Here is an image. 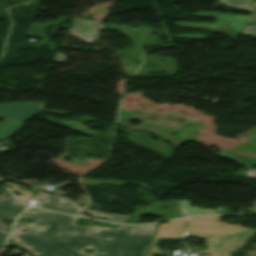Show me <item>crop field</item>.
Masks as SVG:
<instances>
[{
  "label": "crop field",
  "mask_w": 256,
  "mask_h": 256,
  "mask_svg": "<svg viewBox=\"0 0 256 256\" xmlns=\"http://www.w3.org/2000/svg\"><path fill=\"white\" fill-rule=\"evenodd\" d=\"M256 230L220 223L217 216L190 217L185 236H206L208 253L229 256Z\"/></svg>",
  "instance_id": "2"
},
{
  "label": "crop field",
  "mask_w": 256,
  "mask_h": 256,
  "mask_svg": "<svg viewBox=\"0 0 256 256\" xmlns=\"http://www.w3.org/2000/svg\"><path fill=\"white\" fill-rule=\"evenodd\" d=\"M253 203H254V212H256V201L253 200Z\"/></svg>",
  "instance_id": "25"
},
{
  "label": "crop field",
  "mask_w": 256,
  "mask_h": 256,
  "mask_svg": "<svg viewBox=\"0 0 256 256\" xmlns=\"http://www.w3.org/2000/svg\"><path fill=\"white\" fill-rule=\"evenodd\" d=\"M46 102H20L0 105V116L6 121L0 123V139L4 140L21 127V123L42 110Z\"/></svg>",
  "instance_id": "3"
},
{
  "label": "crop field",
  "mask_w": 256,
  "mask_h": 256,
  "mask_svg": "<svg viewBox=\"0 0 256 256\" xmlns=\"http://www.w3.org/2000/svg\"><path fill=\"white\" fill-rule=\"evenodd\" d=\"M42 256H72V255L62 254L54 249H50L49 251L44 253Z\"/></svg>",
  "instance_id": "22"
},
{
  "label": "crop field",
  "mask_w": 256,
  "mask_h": 256,
  "mask_svg": "<svg viewBox=\"0 0 256 256\" xmlns=\"http://www.w3.org/2000/svg\"><path fill=\"white\" fill-rule=\"evenodd\" d=\"M28 206L13 197L0 199V212L21 213Z\"/></svg>",
  "instance_id": "15"
},
{
  "label": "crop field",
  "mask_w": 256,
  "mask_h": 256,
  "mask_svg": "<svg viewBox=\"0 0 256 256\" xmlns=\"http://www.w3.org/2000/svg\"><path fill=\"white\" fill-rule=\"evenodd\" d=\"M65 57H66V55H63V54L58 52L54 60L64 62L65 61Z\"/></svg>",
  "instance_id": "24"
},
{
  "label": "crop field",
  "mask_w": 256,
  "mask_h": 256,
  "mask_svg": "<svg viewBox=\"0 0 256 256\" xmlns=\"http://www.w3.org/2000/svg\"><path fill=\"white\" fill-rule=\"evenodd\" d=\"M86 212H88L91 216L99 217V218H107L108 220L113 222L124 223L125 219L127 218V216L105 214V213H100V212H96L89 209H86Z\"/></svg>",
  "instance_id": "17"
},
{
  "label": "crop field",
  "mask_w": 256,
  "mask_h": 256,
  "mask_svg": "<svg viewBox=\"0 0 256 256\" xmlns=\"http://www.w3.org/2000/svg\"><path fill=\"white\" fill-rule=\"evenodd\" d=\"M224 5L234 7L238 10L247 11L251 10L254 1L247 0H218Z\"/></svg>",
  "instance_id": "16"
},
{
  "label": "crop field",
  "mask_w": 256,
  "mask_h": 256,
  "mask_svg": "<svg viewBox=\"0 0 256 256\" xmlns=\"http://www.w3.org/2000/svg\"><path fill=\"white\" fill-rule=\"evenodd\" d=\"M242 34L256 35V15L249 16Z\"/></svg>",
  "instance_id": "18"
},
{
  "label": "crop field",
  "mask_w": 256,
  "mask_h": 256,
  "mask_svg": "<svg viewBox=\"0 0 256 256\" xmlns=\"http://www.w3.org/2000/svg\"><path fill=\"white\" fill-rule=\"evenodd\" d=\"M100 28L105 29V26L95 21L75 18L68 32L81 37L84 41L92 42ZM91 34L95 36L92 37Z\"/></svg>",
  "instance_id": "10"
},
{
  "label": "crop field",
  "mask_w": 256,
  "mask_h": 256,
  "mask_svg": "<svg viewBox=\"0 0 256 256\" xmlns=\"http://www.w3.org/2000/svg\"><path fill=\"white\" fill-rule=\"evenodd\" d=\"M7 234H4V233H0V247H3L5 241H6V238H7Z\"/></svg>",
  "instance_id": "23"
},
{
  "label": "crop field",
  "mask_w": 256,
  "mask_h": 256,
  "mask_svg": "<svg viewBox=\"0 0 256 256\" xmlns=\"http://www.w3.org/2000/svg\"><path fill=\"white\" fill-rule=\"evenodd\" d=\"M165 206H167L168 208L163 209V207ZM177 213L178 215H176ZM146 214L163 216L165 220L181 216L176 200H172L169 202H154L153 204L144 209L136 210L133 214L128 216L125 223L136 224L138 223V221H140L141 217Z\"/></svg>",
  "instance_id": "6"
},
{
  "label": "crop field",
  "mask_w": 256,
  "mask_h": 256,
  "mask_svg": "<svg viewBox=\"0 0 256 256\" xmlns=\"http://www.w3.org/2000/svg\"><path fill=\"white\" fill-rule=\"evenodd\" d=\"M190 15H196L197 17L215 18L216 23H190V22H177V27L186 28H202L210 29L212 32L230 33L233 40H236L237 36L241 34L242 28L248 18V16L239 15H220L217 12H200L190 13Z\"/></svg>",
  "instance_id": "4"
},
{
  "label": "crop field",
  "mask_w": 256,
  "mask_h": 256,
  "mask_svg": "<svg viewBox=\"0 0 256 256\" xmlns=\"http://www.w3.org/2000/svg\"><path fill=\"white\" fill-rule=\"evenodd\" d=\"M106 27H109L111 30H122V34L128 36L131 39H135V41H132L134 45L157 46L155 43H159V39L156 38L157 36H153L152 34L156 33L158 36L161 35L160 32H152L149 29L140 26H135L139 28H130L126 26L118 27L115 25H106Z\"/></svg>",
  "instance_id": "9"
},
{
  "label": "crop field",
  "mask_w": 256,
  "mask_h": 256,
  "mask_svg": "<svg viewBox=\"0 0 256 256\" xmlns=\"http://www.w3.org/2000/svg\"><path fill=\"white\" fill-rule=\"evenodd\" d=\"M21 217H33V216L23 215ZM33 218H36V217H33ZM37 219H38V222L35 224H24V225H26L28 228L29 226H32V228H29V229L39 234L40 236H42L45 240L64 227L63 225L46 221L40 218H37Z\"/></svg>",
  "instance_id": "11"
},
{
  "label": "crop field",
  "mask_w": 256,
  "mask_h": 256,
  "mask_svg": "<svg viewBox=\"0 0 256 256\" xmlns=\"http://www.w3.org/2000/svg\"><path fill=\"white\" fill-rule=\"evenodd\" d=\"M145 57V63L149 71L155 72V71H164L167 74L166 75H176V72L173 70L175 68V60L171 59H164L163 62H153L152 59L160 60L161 58L156 56H144ZM149 65H156L159 66L158 69H151Z\"/></svg>",
  "instance_id": "13"
},
{
  "label": "crop field",
  "mask_w": 256,
  "mask_h": 256,
  "mask_svg": "<svg viewBox=\"0 0 256 256\" xmlns=\"http://www.w3.org/2000/svg\"><path fill=\"white\" fill-rule=\"evenodd\" d=\"M185 219H177L171 221L169 224H160L158 227V234L155 238H179L182 237V231Z\"/></svg>",
  "instance_id": "12"
},
{
  "label": "crop field",
  "mask_w": 256,
  "mask_h": 256,
  "mask_svg": "<svg viewBox=\"0 0 256 256\" xmlns=\"http://www.w3.org/2000/svg\"><path fill=\"white\" fill-rule=\"evenodd\" d=\"M20 228L15 227L10 239L17 243L22 248L30 251L35 256L44 252L45 250L53 247L46 242L42 237L38 236L24 225L17 223ZM26 230L27 232H21L20 230Z\"/></svg>",
  "instance_id": "5"
},
{
  "label": "crop field",
  "mask_w": 256,
  "mask_h": 256,
  "mask_svg": "<svg viewBox=\"0 0 256 256\" xmlns=\"http://www.w3.org/2000/svg\"><path fill=\"white\" fill-rule=\"evenodd\" d=\"M26 213L68 225L49 242L60 250L83 256H145L155 231V224L145 226L119 225L117 229H109L100 226L74 225L77 219L74 216L42 210L27 211ZM98 240L100 242L93 253L84 252L87 248L92 249Z\"/></svg>",
  "instance_id": "1"
},
{
  "label": "crop field",
  "mask_w": 256,
  "mask_h": 256,
  "mask_svg": "<svg viewBox=\"0 0 256 256\" xmlns=\"http://www.w3.org/2000/svg\"><path fill=\"white\" fill-rule=\"evenodd\" d=\"M18 214H13V213H0V219L4 218V217H10V218H14L16 219ZM6 227H4L1 223H0V232H4L9 234L8 232H5Z\"/></svg>",
  "instance_id": "21"
},
{
  "label": "crop field",
  "mask_w": 256,
  "mask_h": 256,
  "mask_svg": "<svg viewBox=\"0 0 256 256\" xmlns=\"http://www.w3.org/2000/svg\"><path fill=\"white\" fill-rule=\"evenodd\" d=\"M61 196L62 195L59 194L41 192L38 196V199L47 200V203L37 202L36 206L74 214H80L82 212L83 209L75 204L72 200L69 198H62Z\"/></svg>",
  "instance_id": "8"
},
{
  "label": "crop field",
  "mask_w": 256,
  "mask_h": 256,
  "mask_svg": "<svg viewBox=\"0 0 256 256\" xmlns=\"http://www.w3.org/2000/svg\"><path fill=\"white\" fill-rule=\"evenodd\" d=\"M209 35H202V34H183L174 36V38H184V39H205Z\"/></svg>",
  "instance_id": "20"
},
{
  "label": "crop field",
  "mask_w": 256,
  "mask_h": 256,
  "mask_svg": "<svg viewBox=\"0 0 256 256\" xmlns=\"http://www.w3.org/2000/svg\"><path fill=\"white\" fill-rule=\"evenodd\" d=\"M216 156H220V157H224V158H228L231 160H235L237 162H239L241 165L246 166L244 169H249V171H244V169L242 170V172L239 173H233L231 175H236V176H252V177H256V169L251 168L253 165L256 164V162H254V160H248V159H244L235 155H231L225 152H220L218 154H216ZM243 160V162H241ZM246 162V163H244ZM254 167V166H253Z\"/></svg>",
  "instance_id": "14"
},
{
  "label": "crop field",
  "mask_w": 256,
  "mask_h": 256,
  "mask_svg": "<svg viewBox=\"0 0 256 256\" xmlns=\"http://www.w3.org/2000/svg\"><path fill=\"white\" fill-rule=\"evenodd\" d=\"M117 129L126 132V139L130 140L134 144L142 148L151 150L167 159H169L174 154L172 148L169 145L162 141L154 142L152 139L149 138L150 135L145 132H136L133 130L122 129L119 127Z\"/></svg>",
  "instance_id": "7"
},
{
  "label": "crop field",
  "mask_w": 256,
  "mask_h": 256,
  "mask_svg": "<svg viewBox=\"0 0 256 256\" xmlns=\"http://www.w3.org/2000/svg\"><path fill=\"white\" fill-rule=\"evenodd\" d=\"M124 52L123 56H131L134 61L141 62L140 60V48H132V49H122ZM136 53V56L132 54Z\"/></svg>",
  "instance_id": "19"
}]
</instances>
